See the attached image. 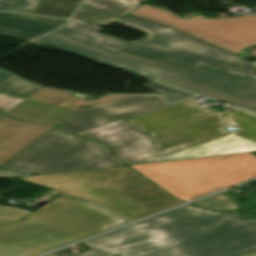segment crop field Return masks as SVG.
Segmentation results:
<instances>
[{"instance_id":"crop-field-1","label":"crop field","mask_w":256,"mask_h":256,"mask_svg":"<svg viewBox=\"0 0 256 256\" xmlns=\"http://www.w3.org/2000/svg\"><path fill=\"white\" fill-rule=\"evenodd\" d=\"M82 243L64 256H239L256 250V219L187 205Z\"/></svg>"},{"instance_id":"crop-field-2","label":"crop field","mask_w":256,"mask_h":256,"mask_svg":"<svg viewBox=\"0 0 256 256\" xmlns=\"http://www.w3.org/2000/svg\"><path fill=\"white\" fill-rule=\"evenodd\" d=\"M226 107L235 132L222 130L227 111L200 109L192 98L126 121L152 135L164 161L256 151V114Z\"/></svg>"},{"instance_id":"crop-field-3","label":"crop field","mask_w":256,"mask_h":256,"mask_svg":"<svg viewBox=\"0 0 256 256\" xmlns=\"http://www.w3.org/2000/svg\"><path fill=\"white\" fill-rule=\"evenodd\" d=\"M127 222L92 202L58 195L24 221L0 227V256H35Z\"/></svg>"},{"instance_id":"crop-field-4","label":"crop field","mask_w":256,"mask_h":256,"mask_svg":"<svg viewBox=\"0 0 256 256\" xmlns=\"http://www.w3.org/2000/svg\"><path fill=\"white\" fill-rule=\"evenodd\" d=\"M117 22L143 30L148 36L140 41H122L96 32L103 28L75 17L55 32L115 53L123 49L192 68L202 66L256 78V60L252 63L235 57L171 28L129 15Z\"/></svg>"},{"instance_id":"crop-field-5","label":"crop field","mask_w":256,"mask_h":256,"mask_svg":"<svg viewBox=\"0 0 256 256\" xmlns=\"http://www.w3.org/2000/svg\"><path fill=\"white\" fill-rule=\"evenodd\" d=\"M37 41L256 112V80L202 68L192 70L125 52L116 55L54 33Z\"/></svg>"},{"instance_id":"crop-field-6","label":"crop field","mask_w":256,"mask_h":256,"mask_svg":"<svg viewBox=\"0 0 256 256\" xmlns=\"http://www.w3.org/2000/svg\"><path fill=\"white\" fill-rule=\"evenodd\" d=\"M17 178L92 199L131 220L185 203L125 166Z\"/></svg>"},{"instance_id":"crop-field-7","label":"crop field","mask_w":256,"mask_h":256,"mask_svg":"<svg viewBox=\"0 0 256 256\" xmlns=\"http://www.w3.org/2000/svg\"><path fill=\"white\" fill-rule=\"evenodd\" d=\"M189 201L256 177V157L249 153L130 166Z\"/></svg>"},{"instance_id":"crop-field-8","label":"crop field","mask_w":256,"mask_h":256,"mask_svg":"<svg viewBox=\"0 0 256 256\" xmlns=\"http://www.w3.org/2000/svg\"><path fill=\"white\" fill-rule=\"evenodd\" d=\"M119 165L123 164L101 144L63 134L55 127L3 167L45 174Z\"/></svg>"},{"instance_id":"crop-field-9","label":"crop field","mask_w":256,"mask_h":256,"mask_svg":"<svg viewBox=\"0 0 256 256\" xmlns=\"http://www.w3.org/2000/svg\"><path fill=\"white\" fill-rule=\"evenodd\" d=\"M130 14L168 25L236 55L246 47L256 45L255 15L206 18L196 14L184 19L145 4Z\"/></svg>"},{"instance_id":"crop-field-10","label":"crop field","mask_w":256,"mask_h":256,"mask_svg":"<svg viewBox=\"0 0 256 256\" xmlns=\"http://www.w3.org/2000/svg\"><path fill=\"white\" fill-rule=\"evenodd\" d=\"M77 135L106 144L127 165L163 161L151 135L125 121Z\"/></svg>"},{"instance_id":"crop-field-11","label":"crop field","mask_w":256,"mask_h":256,"mask_svg":"<svg viewBox=\"0 0 256 256\" xmlns=\"http://www.w3.org/2000/svg\"><path fill=\"white\" fill-rule=\"evenodd\" d=\"M162 105L165 103L156 95H128L82 108L59 126L73 134Z\"/></svg>"},{"instance_id":"crop-field-12","label":"crop field","mask_w":256,"mask_h":256,"mask_svg":"<svg viewBox=\"0 0 256 256\" xmlns=\"http://www.w3.org/2000/svg\"><path fill=\"white\" fill-rule=\"evenodd\" d=\"M53 125L32 124L4 115L0 118V166L35 142Z\"/></svg>"},{"instance_id":"crop-field-13","label":"crop field","mask_w":256,"mask_h":256,"mask_svg":"<svg viewBox=\"0 0 256 256\" xmlns=\"http://www.w3.org/2000/svg\"><path fill=\"white\" fill-rule=\"evenodd\" d=\"M69 96H71L70 91L43 87L7 115L24 121L37 122Z\"/></svg>"},{"instance_id":"crop-field-14","label":"crop field","mask_w":256,"mask_h":256,"mask_svg":"<svg viewBox=\"0 0 256 256\" xmlns=\"http://www.w3.org/2000/svg\"><path fill=\"white\" fill-rule=\"evenodd\" d=\"M21 16L19 13L0 12V34L33 40L60 27Z\"/></svg>"},{"instance_id":"crop-field-15","label":"crop field","mask_w":256,"mask_h":256,"mask_svg":"<svg viewBox=\"0 0 256 256\" xmlns=\"http://www.w3.org/2000/svg\"><path fill=\"white\" fill-rule=\"evenodd\" d=\"M41 87L18 76H11L0 84V111L6 114Z\"/></svg>"},{"instance_id":"crop-field-16","label":"crop field","mask_w":256,"mask_h":256,"mask_svg":"<svg viewBox=\"0 0 256 256\" xmlns=\"http://www.w3.org/2000/svg\"><path fill=\"white\" fill-rule=\"evenodd\" d=\"M120 96H124V95H110V96L97 99L93 102L72 97L71 99L67 100L65 103H63L61 106H59L57 109H55L53 112H51L49 115H47L45 118H43L39 122H47V123H53L58 125L61 122H63L65 119H67L69 116H71L73 113H75L77 110H79L81 107L92 105L98 102L111 100Z\"/></svg>"},{"instance_id":"crop-field-17","label":"crop field","mask_w":256,"mask_h":256,"mask_svg":"<svg viewBox=\"0 0 256 256\" xmlns=\"http://www.w3.org/2000/svg\"><path fill=\"white\" fill-rule=\"evenodd\" d=\"M138 1L139 0H85L84 4L121 17L139 6Z\"/></svg>"},{"instance_id":"crop-field-18","label":"crop field","mask_w":256,"mask_h":256,"mask_svg":"<svg viewBox=\"0 0 256 256\" xmlns=\"http://www.w3.org/2000/svg\"><path fill=\"white\" fill-rule=\"evenodd\" d=\"M79 3L68 0H48L43 5L32 10L31 14L70 17Z\"/></svg>"},{"instance_id":"crop-field-19","label":"crop field","mask_w":256,"mask_h":256,"mask_svg":"<svg viewBox=\"0 0 256 256\" xmlns=\"http://www.w3.org/2000/svg\"><path fill=\"white\" fill-rule=\"evenodd\" d=\"M75 17L95 23L100 26H109L120 19L99 10L83 5L75 14Z\"/></svg>"},{"instance_id":"crop-field-20","label":"crop field","mask_w":256,"mask_h":256,"mask_svg":"<svg viewBox=\"0 0 256 256\" xmlns=\"http://www.w3.org/2000/svg\"><path fill=\"white\" fill-rule=\"evenodd\" d=\"M193 204H198L201 206H205L211 209H215V210H234V209H242L245 210L241 207H239L233 200L231 197L221 193V194H217L215 196L209 197V198H205L199 201L194 202ZM254 210H256V208H254ZM245 211H250L245 210Z\"/></svg>"},{"instance_id":"crop-field-21","label":"crop field","mask_w":256,"mask_h":256,"mask_svg":"<svg viewBox=\"0 0 256 256\" xmlns=\"http://www.w3.org/2000/svg\"><path fill=\"white\" fill-rule=\"evenodd\" d=\"M141 86H144L148 89L161 93L168 103L194 95V94L187 93V92H184V91H181V90H178L154 81L145 83Z\"/></svg>"},{"instance_id":"crop-field-22","label":"crop field","mask_w":256,"mask_h":256,"mask_svg":"<svg viewBox=\"0 0 256 256\" xmlns=\"http://www.w3.org/2000/svg\"><path fill=\"white\" fill-rule=\"evenodd\" d=\"M45 0H0V10L26 13Z\"/></svg>"},{"instance_id":"crop-field-23","label":"crop field","mask_w":256,"mask_h":256,"mask_svg":"<svg viewBox=\"0 0 256 256\" xmlns=\"http://www.w3.org/2000/svg\"><path fill=\"white\" fill-rule=\"evenodd\" d=\"M31 212L11 206H0V226L17 221Z\"/></svg>"},{"instance_id":"crop-field-24","label":"crop field","mask_w":256,"mask_h":256,"mask_svg":"<svg viewBox=\"0 0 256 256\" xmlns=\"http://www.w3.org/2000/svg\"><path fill=\"white\" fill-rule=\"evenodd\" d=\"M27 175H32V174L31 173H25V172L6 170V169H1L0 168V178L27 176Z\"/></svg>"},{"instance_id":"crop-field-25","label":"crop field","mask_w":256,"mask_h":256,"mask_svg":"<svg viewBox=\"0 0 256 256\" xmlns=\"http://www.w3.org/2000/svg\"><path fill=\"white\" fill-rule=\"evenodd\" d=\"M25 17L34 18V19L43 20V21H48V22H52V23H57V24H60V25H63L65 22H67L66 19L48 18V17L34 16V15H25Z\"/></svg>"},{"instance_id":"crop-field-26","label":"crop field","mask_w":256,"mask_h":256,"mask_svg":"<svg viewBox=\"0 0 256 256\" xmlns=\"http://www.w3.org/2000/svg\"><path fill=\"white\" fill-rule=\"evenodd\" d=\"M12 74L0 70V83L10 77Z\"/></svg>"},{"instance_id":"crop-field-27","label":"crop field","mask_w":256,"mask_h":256,"mask_svg":"<svg viewBox=\"0 0 256 256\" xmlns=\"http://www.w3.org/2000/svg\"><path fill=\"white\" fill-rule=\"evenodd\" d=\"M242 196H244V197H246L248 199H251V200L256 202V192L252 193V194L242 195Z\"/></svg>"},{"instance_id":"crop-field-28","label":"crop field","mask_w":256,"mask_h":256,"mask_svg":"<svg viewBox=\"0 0 256 256\" xmlns=\"http://www.w3.org/2000/svg\"><path fill=\"white\" fill-rule=\"evenodd\" d=\"M242 256H256V251L242 255Z\"/></svg>"},{"instance_id":"crop-field-29","label":"crop field","mask_w":256,"mask_h":256,"mask_svg":"<svg viewBox=\"0 0 256 256\" xmlns=\"http://www.w3.org/2000/svg\"><path fill=\"white\" fill-rule=\"evenodd\" d=\"M45 256H58V255L55 252H53V253H50V254L45 255Z\"/></svg>"},{"instance_id":"crop-field-30","label":"crop field","mask_w":256,"mask_h":256,"mask_svg":"<svg viewBox=\"0 0 256 256\" xmlns=\"http://www.w3.org/2000/svg\"><path fill=\"white\" fill-rule=\"evenodd\" d=\"M72 1L79 2V3H81V2H82V0H72Z\"/></svg>"},{"instance_id":"crop-field-31","label":"crop field","mask_w":256,"mask_h":256,"mask_svg":"<svg viewBox=\"0 0 256 256\" xmlns=\"http://www.w3.org/2000/svg\"><path fill=\"white\" fill-rule=\"evenodd\" d=\"M3 116V114L0 113V117Z\"/></svg>"}]
</instances>
